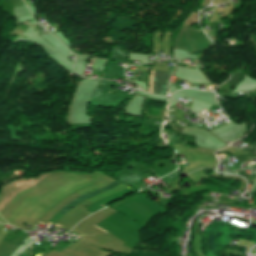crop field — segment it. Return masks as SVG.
<instances>
[{"label":"crop field","instance_id":"obj_1","mask_svg":"<svg viewBox=\"0 0 256 256\" xmlns=\"http://www.w3.org/2000/svg\"><path fill=\"white\" fill-rule=\"evenodd\" d=\"M169 77H170V74L168 73H161V72L154 71V79H153V71H150L149 92L152 93V79H153V93L159 94V95H165Z\"/></svg>","mask_w":256,"mask_h":256},{"label":"crop field","instance_id":"obj_2","mask_svg":"<svg viewBox=\"0 0 256 256\" xmlns=\"http://www.w3.org/2000/svg\"><path fill=\"white\" fill-rule=\"evenodd\" d=\"M119 184H120V182L114 181V182H112V183L106 185L105 187H103V188H101V189H99V190H96V191L87 193V194L81 196L80 198L74 200V201L71 202L70 204L64 206V207L59 211V213H61V214L64 215V214H66L71 208H73L74 206L78 205L81 201H83V200H85V199H87V198H90V197H92V196H95V195H97V194H99V193H101V192L107 191V190H109V189H111V188H113V187H115V186H117V185H119Z\"/></svg>","mask_w":256,"mask_h":256},{"label":"crop field","instance_id":"obj_3","mask_svg":"<svg viewBox=\"0 0 256 256\" xmlns=\"http://www.w3.org/2000/svg\"><path fill=\"white\" fill-rule=\"evenodd\" d=\"M139 198H141L142 200H144L145 202H147L148 204L152 205L153 207H155L157 210H159L160 212H162L163 208H160L159 206H157L155 203H153L151 200L147 199L143 194H141L140 192L136 194Z\"/></svg>","mask_w":256,"mask_h":256},{"label":"crop field","instance_id":"obj_4","mask_svg":"<svg viewBox=\"0 0 256 256\" xmlns=\"http://www.w3.org/2000/svg\"><path fill=\"white\" fill-rule=\"evenodd\" d=\"M96 227V226H95ZM98 228V227H97ZM100 229V228H99ZM102 230V229H101ZM104 231V230H103ZM106 232V231H105Z\"/></svg>","mask_w":256,"mask_h":256},{"label":"crop field","instance_id":"obj_5","mask_svg":"<svg viewBox=\"0 0 256 256\" xmlns=\"http://www.w3.org/2000/svg\"><path fill=\"white\" fill-rule=\"evenodd\" d=\"M46 33H44L43 35H45Z\"/></svg>","mask_w":256,"mask_h":256}]
</instances>
